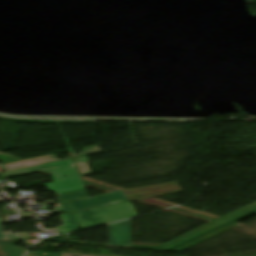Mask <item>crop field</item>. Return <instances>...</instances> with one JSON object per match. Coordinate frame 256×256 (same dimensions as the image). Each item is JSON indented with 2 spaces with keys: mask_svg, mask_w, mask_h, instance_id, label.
I'll return each mask as SVG.
<instances>
[{
  "mask_svg": "<svg viewBox=\"0 0 256 256\" xmlns=\"http://www.w3.org/2000/svg\"><path fill=\"white\" fill-rule=\"evenodd\" d=\"M76 213L82 230L137 216L130 202Z\"/></svg>",
  "mask_w": 256,
  "mask_h": 256,
  "instance_id": "ac0d7876",
  "label": "crop field"
},
{
  "mask_svg": "<svg viewBox=\"0 0 256 256\" xmlns=\"http://www.w3.org/2000/svg\"><path fill=\"white\" fill-rule=\"evenodd\" d=\"M101 152L102 150L99 148V146L86 147V148H83L82 152L75 158L85 156V155L95 154V153H101ZM67 159H70V158H67ZM62 160H65V159H62ZM56 161H61V160L57 159L55 156H46V157L19 161V162H14L9 164H3V165H0V167L4 171H9V170L47 164V163L56 162Z\"/></svg>",
  "mask_w": 256,
  "mask_h": 256,
  "instance_id": "dd49c442",
  "label": "crop field"
},
{
  "mask_svg": "<svg viewBox=\"0 0 256 256\" xmlns=\"http://www.w3.org/2000/svg\"><path fill=\"white\" fill-rule=\"evenodd\" d=\"M61 219H62L63 226L56 228L61 233L79 229L76 218L73 213L61 215Z\"/></svg>",
  "mask_w": 256,
  "mask_h": 256,
  "instance_id": "3316defc",
  "label": "crop field"
},
{
  "mask_svg": "<svg viewBox=\"0 0 256 256\" xmlns=\"http://www.w3.org/2000/svg\"><path fill=\"white\" fill-rule=\"evenodd\" d=\"M237 225H239V224L237 222H234V223H232L230 225H227V226H225L223 228H220V229H218L216 231H213V232L208 233V234H206L204 236H201V237H199V238H197L195 240H192V241H190V242H188V243H186V244H184L182 246H179V247H177V248H175V249H173L171 251H173V252H181V251H183V250H185V249H187V248H189V247H191V246H193V245H195L197 243H200V242H202V241H204V240H206V239H208V238H210V237H212V236H214L216 234H219V233H221L223 231H226V230H228L230 228H233V227H235Z\"/></svg>",
  "mask_w": 256,
  "mask_h": 256,
  "instance_id": "d8731c3e",
  "label": "crop field"
},
{
  "mask_svg": "<svg viewBox=\"0 0 256 256\" xmlns=\"http://www.w3.org/2000/svg\"><path fill=\"white\" fill-rule=\"evenodd\" d=\"M255 207H256V203L248 205V206H246V207H244V208H242V209H240V210H238V211H236V212H234L232 214H229V215H227V216H225V217H223V218H221V219H219L217 221H214V222L209 223V224H207V225H205V226H203V227H201V228H199L197 230H194V231H192L190 233L182 235V236H180V237H178V238H176V239L166 243L165 245L135 244L133 248L164 250V249H166V248H168V247H170V246H172V245H174L176 243H179V242L184 241V240H186V239H188V238H190V237H192L194 235H197V234H199V233H201L203 231H206V230H208V229H210V228H212V227H214V226H216V225H218V224H220V223H222V222H224L226 220H229V219H231L233 217L241 215V214H243V213H245V212H247V211H249V210H251V209H253Z\"/></svg>",
  "mask_w": 256,
  "mask_h": 256,
  "instance_id": "412701ff",
  "label": "crop field"
},
{
  "mask_svg": "<svg viewBox=\"0 0 256 256\" xmlns=\"http://www.w3.org/2000/svg\"><path fill=\"white\" fill-rule=\"evenodd\" d=\"M58 203L64 214L72 212L67 201L79 199L88 196L85 187L72 189L56 193ZM129 200V199H128ZM123 191H116L106 195L87 198L71 202L75 211L90 209L95 207H104L128 201Z\"/></svg>",
  "mask_w": 256,
  "mask_h": 256,
  "instance_id": "8a807250",
  "label": "crop field"
},
{
  "mask_svg": "<svg viewBox=\"0 0 256 256\" xmlns=\"http://www.w3.org/2000/svg\"><path fill=\"white\" fill-rule=\"evenodd\" d=\"M75 160L77 162V165L80 169L82 176L91 174V172L86 164L89 162V159L87 156L77 158ZM46 170H49L54 182L79 177L72 159L61 161V162H56V163H51V164H47V165L37 166V167L9 171V172L3 173V175L5 176V178H8V177H14V176H19V175H24V174L46 171ZM63 175H67V177L65 178Z\"/></svg>",
  "mask_w": 256,
  "mask_h": 256,
  "instance_id": "34b2d1b8",
  "label": "crop field"
},
{
  "mask_svg": "<svg viewBox=\"0 0 256 256\" xmlns=\"http://www.w3.org/2000/svg\"><path fill=\"white\" fill-rule=\"evenodd\" d=\"M0 224H1V218H0Z\"/></svg>",
  "mask_w": 256,
  "mask_h": 256,
  "instance_id": "d1516ede",
  "label": "crop field"
},
{
  "mask_svg": "<svg viewBox=\"0 0 256 256\" xmlns=\"http://www.w3.org/2000/svg\"><path fill=\"white\" fill-rule=\"evenodd\" d=\"M0 239H17V234L16 233L3 234L1 225H0Z\"/></svg>",
  "mask_w": 256,
  "mask_h": 256,
  "instance_id": "28ad6ade",
  "label": "crop field"
},
{
  "mask_svg": "<svg viewBox=\"0 0 256 256\" xmlns=\"http://www.w3.org/2000/svg\"><path fill=\"white\" fill-rule=\"evenodd\" d=\"M109 245L131 247L130 220L109 225Z\"/></svg>",
  "mask_w": 256,
  "mask_h": 256,
  "instance_id": "e52e79f7",
  "label": "crop field"
},
{
  "mask_svg": "<svg viewBox=\"0 0 256 256\" xmlns=\"http://www.w3.org/2000/svg\"><path fill=\"white\" fill-rule=\"evenodd\" d=\"M129 201L138 200L135 197L139 196L141 199L154 197L159 195H165L175 192H181L182 189L179 186L178 182L174 183H167L161 185H154V186H147V187H140L134 189H127L123 190Z\"/></svg>",
  "mask_w": 256,
  "mask_h": 256,
  "instance_id": "f4fd0767",
  "label": "crop field"
},
{
  "mask_svg": "<svg viewBox=\"0 0 256 256\" xmlns=\"http://www.w3.org/2000/svg\"><path fill=\"white\" fill-rule=\"evenodd\" d=\"M256 214V213H255Z\"/></svg>",
  "mask_w": 256,
  "mask_h": 256,
  "instance_id": "22f410ed",
  "label": "crop field"
},
{
  "mask_svg": "<svg viewBox=\"0 0 256 256\" xmlns=\"http://www.w3.org/2000/svg\"><path fill=\"white\" fill-rule=\"evenodd\" d=\"M44 186L47 187L52 192H58V191L72 189V188L82 187L83 184L81 182V179L78 178V179L46 184Z\"/></svg>",
  "mask_w": 256,
  "mask_h": 256,
  "instance_id": "5a996713",
  "label": "crop field"
}]
</instances>
